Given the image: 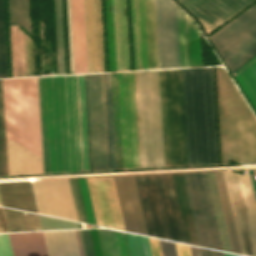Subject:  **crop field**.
<instances>
[{
  "label": "crop field",
  "mask_w": 256,
  "mask_h": 256,
  "mask_svg": "<svg viewBox=\"0 0 256 256\" xmlns=\"http://www.w3.org/2000/svg\"><path fill=\"white\" fill-rule=\"evenodd\" d=\"M76 86L82 171H91L84 75H76Z\"/></svg>",
  "instance_id": "a9b5d70f"
},
{
  "label": "crop field",
  "mask_w": 256,
  "mask_h": 256,
  "mask_svg": "<svg viewBox=\"0 0 256 256\" xmlns=\"http://www.w3.org/2000/svg\"><path fill=\"white\" fill-rule=\"evenodd\" d=\"M3 87L9 175L43 173L37 77Z\"/></svg>",
  "instance_id": "ac0d7876"
},
{
  "label": "crop field",
  "mask_w": 256,
  "mask_h": 256,
  "mask_svg": "<svg viewBox=\"0 0 256 256\" xmlns=\"http://www.w3.org/2000/svg\"><path fill=\"white\" fill-rule=\"evenodd\" d=\"M233 253L241 254L222 171L214 172Z\"/></svg>",
  "instance_id": "750c4746"
},
{
  "label": "crop field",
  "mask_w": 256,
  "mask_h": 256,
  "mask_svg": "<svg viewBox=\"0 0 256 256\" xmlns=\"http://www.w3.org/2000/svg\"><path fill=\"white\" fill-rule=\"evenodd\" d=\"M106 81H107V97H108V113H109L111 162H112V170H114V169H116V161H115V145H114V129H113V113H112L110 73H106Z\"/></svg>",
  "instance_id": "0bd39190"
},
{
  "label": "crop field",
  "mask_w": 256,
  "mask_h": 256,
  "mask_svg": "<svg viewBox=\"0 0 256 256\" xmlns=\"http://www.w3.org/2000/svg\"><path fill=\"white\" fill-rule=\"evenodd\" d=\"M141 168L164 167L158 70L135 72Z\"/></svg>",
  "instance_id": "dd49c442"
},
{
  "label": "crop field",
  "mask_w": 256,
  "mask_h": 256,
  "mask_svg": "<svg viewBox=\"0 0 256 256\" xmlns=\"http://www.w3.org/2000/svg\"><path fill=\"white\" fill-rule=\"evenodd\" d=\"M178 10L188 18L179 8ZM179 14V29H180V45H181V60L182 67L202 66V52H201V32L193 24L184 17L180 12Z\"/></svg>",
  "instance_id": "92a150f3"
},
{
  "label": "crop field",
  "mask_w": 256,
  "mask_h": 256,
  "mask_svg": "<svg viewBox=\"0 0 256 256\" xmlns=\"http://www.w3.org/2000/svg\"><path fill=\"white\" fill-rule=\"evenodd\" d=\"M78 180H79V184H80V189H81V194H82L83 203H84V207H85L87 221H88V223H91V224H93V222H94V224L96 225L95 219H94V215H93L92 206H91V202H90V197H89V193H88V188H87L86 180H85V178H83L84 184H85V188H86V192H87V197H88L89 205H90V210H91V214H92V218H93V222H92V218H91V214H90V210H89V205H88V201H87V197H86V192H85L83 180H82V178H78Z\"/></svg>",
  "instance_id": "03da06ac"
},
{
  "label": "crop field",
  "mask_w": 256,
  "mask_h": 256,
  "mask_svg": "<svg viewBox=\"0 0 256 256\" xmlns=\"http://www.w3.org/2000/svg\"><path fill=\"white\" fill-rule=\"evenodd\" d=\"M149 240H150L152 255L153 256H162L158 240L151 239V238H149Z\"/></svg>",
  "instance_id": "89e229c0"
},
{
  "label": "crop field",
  "mask_w": 256,
  "mask_h": 256,
  "mask_svg": "<svg viewBox=\"0 0 256 256\" xmlns=\"http://www.w3.org/2000/svg\"><path fill=\"white\" fill-rule=\"evenodd\" d=\"M0 232H8L3 210L1 207H0Z\"/></svg>",
  "instance_id": "1f2cbd36"
},
{
  "label": "crop field",
  "mask_w": 256,
  "mask_h": 256,
  "mask_svg": "<svg viewBox=\"0 0 256 256\" xmlns=\"http://www.w3.org/2000/svg\"><path fill=\"white\" fill-rule=\"evenodd\" d=\"M19 26H10L13 77L27 76L24 34Z\"/></svg>",
  "instance_id": "ae1a2a85"
},
{
  "label": "crop field",
  "mask_w": 256,
  "mask_h": 256,
  "mask_svg": "<svg viewBox=\"0 0 256 256\" xmlns=\"http://www.w3.org/2000/svg\"><path fill=\"white\" fill-rule=\"evenodd\" d=\"M183 175L200 246L223 251L205 172Z\"/></svg>",
  "instance_id": "d1516ede"
},
{
  "label": "crop field",
  "mask_w": 256,
  "mask_h": 256,
  "mask_svg": "<svg viewBox=\"0 0 256 256\" xmlns=\"http://www.w3.org/2000/svg\"><path fill=\"white\" fill-rule=\"evenodd\" d=\"M110 72L130 70L126 0H106Z\"/></svg>",
  "instance_id": "5142ce71"
},
{
  "label": "crop field",
  "mask_w": 256,
  "mask_h": 256,
  "mask_svg": "<svg viewBox=\"0 0 256 256\" xmlns=\"http://www.w3.org/2000/svg\"><path fill=\"white\" fill-rule=\"evenodd\" d=\"M2 77H7V69L3 20V3L2 0H0V78Z\"/></svg>",
  "instance_id": "c21b1889"
},
{
  "label": "crop field",
  "mask_w": 256,
  "mask_h": 256,
  "mask_svg": "<svg viewBox=\"0 0 256 256\" xmlns=\"http://www.w3.org/2000/svg\"><path fill=\"white\" fill-rule=\"evenodd\" d=\"M0 205H1V202H0Z\"/></svg>",
  "instance_id": "9d1cf04e"
},
{
  "label": "crop field",
  "mask_w": 256,
  "mask_h": 256,
  "mask_svg": "<svg viewBox=\"0 0 256 256\" xmlns=\"http://www.w3.org/2000/svg\"><path fill=\"white\" fill-rule=\"evenodd\" d=\"M134 178L148 235L188 244L172 174Z\"/></svg>",
  "instance_id": "f4fd0767"
},
{
  "label": "crop field",
  "mask_w": 256,
  "mask_h": 256,
  "mask_svg": "<svg viewBox=\"0 0 256 256\" xmlns=\"http://www.w3.org/2000/svg\"><path fill=\"white\" fill-rule=\"evenodd\" d=\"M200 250H201L202 256H224L223 253L221 252L211 251V250L202 249V248H200Z\"/></svg>",
  "instance_id": "dbb93151"
},
{
  "label": "crop field",
  "mask_w": 256,
  "mask_h": 256,
  "mask_svg": "<svg viewBox=\"0 0 256 256\" xmlns=\"http://www.w3.org/2000/svg\"><path fill=\"white\" fill-rule=\"evenodd\" d=\"M86 256H95L89 230H80Z\"/></svg>",
  "instance_id": "5d738f31"
},
{
  "label": "crop field",
  "mask_w": 256,
  "mask_h": 256,
  "mask_svg": "<svg viewBox=\"0 0 256 256\" xmlns=\"http://www.w3.org/2000/svg\"><path fill=\"white\" fill-rule=\"evenodd\" d=\"M159 69L181 67L177 6L155 0Z\"/></svg>",
  "instance_id": "cbeb9de0"
},
{
  "label": "crop field",
  "mask_w": 256,
  "mask_h": 256,
  "mask_svg": "<svg viewBox=\"0 0 256 256\" xmlns=\"http://www.w3.org/2000/svg\"><path fill=\"white\" fill-rule=\"evenodd\" d=\"M89 73L105 72L101 0H85Z\"/></svg>",
  "instance_id": "bc2a9ffb"
},
{
  "label": "crop field",
  "mask_w": 256,
  "mask_h": 256,
  "mask_svg": "<svg viewBox=\"0 0 256 256\" xmlns=\"http://www.w3.org/2000/svg\"><path fill=\"white\" fill-rule=\"evenodd\" d=\"M113 179L126 231L147 235L133 176Z\"/></svg>",
  "instance_id": "214f88e0"
},
{
  "label": "crop field",
  "mask_w": 256,
  "mask_h": 256,
  "mask_svg": "<svg viewBox=\"0 0 256 256\" xmlns=\"http://www.w3.org/2000/svg\"><path fill=\"white\" fill-rule=\"evenodd\" d=\"M187 165L218 164L212 67L182 69Z\"/></svg>",
  "instance_id": "34b2d1b8"
},
{
  "label": "crop field",
  "mask_w": 256,
  "mask_h": 256,
  "mask_svg": "<svg viewBox=\"0 0 256 256\" xmlns=\"http://www.w3.org/2000/svg\"><path fill=\"white\" fill-rule=\"evenodd\" d=\"M209 38L231 73L235 71L256 55V5Z\"/></svg>",
  "instance_id": "28ad6ade"
},
{
  "label": "crop field",
  "mask_w": 256,
  "mask_h": 256,
  "mask_svg": "<svg viewBox=\"0 0 256 256\" xmlns=\"http://www.w3.org/2000/svg\"><path fill=\"white\" fill-rule=\"evenodd\" d=\"M45 173L81 171L75 75L39 77Z\"/></svg>",
  "instance_id": "8a807250"
},
{
  "label": "crop field",
  "mask_w": 256,
  "mask_h": 256,
  "mask_svg": "<svg viewBox=\"0 0 256 256\" xmlns=\"http://www.w3.org/2000/svg\"><path fill=\"white\" fill-rule=\"evenodd\" d=\"M175 185L178 193V198L180 202V207L182 211V216L184 220V225L187 233L188 242L191 245H197L198 240L196 236V231L193 223V218L190 210V205L188 201V196L185 188V183L182 173L173 174Z\"/></svg>",
  "instance_id": "d3111659"
},
{
  "label": "crop field",
  "mask_w": 256,
  "mask_h": 256,
  "mask_svg": "<svg viewBox=\"0 0 256 256\" xmlns=\"http://www.w3.org/2000/svg\"><path fill=\"white\" fill-rule=\"evenodd\" d=\"M225 256H238V255H232V254H226L224 253Z\"/></svg>",
  "instance_id": "1d79db26"
},
{
  "label": "crop field",
  "mask_w": 256,
  "mask_h": 256,
  "mask_svg": "<svg viewBox=\"0 0 256 256\" xmlns=\"http://www.w3.org/2000/svg\"><path fill=\"white\" fill-rule=\"evenodd\" d=\"M78 221L86 222L84 207L77 178L68 179Z\"/></svg>",
  "instance_id": "b80d0937"
},
{
  "label": "crop field",
  "mask_w": 256,
  "mask_h": 256,
  "mask_svg": "<svg viewBox=\"0 0 256 256\" xmlns=\"http://www.w3.org/2000/svg\"><path fill=\"white\" fill-rule=\"evenodd\" d=\"M74 74L87 73L84 4L71 0Z\"/></svg>",
  "instance_id": "00972430"
},
{
  "label": "crop field",
  "mask_w": 256,
  "mask_h": 256,
  "mask_svg": "<svg viewBox=\"0 0 256 256\" xmlns=\"http://www.w3.org/2000/svg\"><path fill=\"white\" fill-rule=\"evenodd\" d=\"M216 75L221 163L256 161V119L225 69Z\"/></svg>",
  "instance_id": "412701ff"
},
{
  "label": "crop field",
  "mask_w": 256,
  "mask_h": 256,
  "mask_svg": "<svg viewBox=\"0 0 256 256\" xmlns=\"http://www.w3.org/2000/svg\"><path fill=\"white\" fill-rule=\"evenodd\" d=\"M94 245L95 255L103 256L97 229L90 230Z\"/></svg>",
  "instance_id": "25e5ab78"
},
{
  "label": "crop field",
  "mask_w": 256,
  "mask_h": 256,
  "mask_svg": "<svg viewBox=\"0 0 256 256\" xmlns=\"http://www.w3.org/2000/svg\"><path fill=\"white\" fill-rule=\"evenodd\" d=\"M85 81L92 171L111 170L105 73Z\"/></svg>",
  "instance_id": "5a996713"
},
{
  "label": "crop field",
  "mask_w": 256,
  "mask_h": 256,
  "mask_svg": "<svg viewBox=\"0 0 256 256\" xmlns=\"http://www.w3.org/2000/svg\"><path fill=\"white\" fill-rule=\"evenodd\" d=\"M117 169L140 168L134 72L111 73Z\"/></svg>",
  "instance_id": "e52e79f7"
},
{
  "label": "crop field",
  "mask_w": 256,
  "mask_h": 256,
  "mask_svg": "<svg viewBox=\"0 0 256 256\" xmlns=\"http://www.w3.org/2000/svg\"><path fill=\"white\" fill-rule=\"evenodd\" d=\"M206 174H207L208 183L211 191V196L213 200V205L215 209V214H216L217 223L220 231L223 249L226 252L232 253L227 230H226V225H225V221L222 213V208L219 200V195L216 187V182L214 178L215 173L213 174V172H206Z\"/></svg>",
  "instance_id": "120bbe31"
},
{
  "label": "crop field",
  "mask_w": 256,
  "mask_h": 256,
  "mask_svg": "<svg viewBox=\"0 0 256 256\" xmlns=\"http://www.w3.org/2000/svg\"><path fill=\"white\" fill-rule=\"evenodd\" d=\"M57 34L58 74H65L62 0H54Z\"/></svg>",
  "instance_id": "d32e631a"
},
{
  "label": "crop field",
  "mask_w": 256,
  "mask_h": 256,
  "mask_svg": "<svg viewBox=\"0 0 256 256\" xmlns=\"http://www.w3.org/2000/svg\"><path fill=\"white\" fill-rule=\"evenodd\" d=\"M11 24H20L30 33L28 0H9Z\"/></svg>",
  "instance_id": "5866460e"
},
{
  "label": "crop field",
  "mask_w": 256,
  "mask_h": 256,
  "mask_svg": "<svg viewBox=\"0 0 256 256\" xmlns=\"http://www.w3.org/2000/svg\"><path fill=\"white\" fill-rule=\"evenodd\" d=\"M126 235L132 256H152L148 238L128 233Z\"/></svg>",
  "instance_id": "e1f06a70"
},
{
  "label": "crop field",
  "mask_w": 256,
  "mask_h": 256,
  "mask_svg": "<svg viewBox=\"0 0 256 256\" xmlns=\"http://www.w3.org/2000/svg\"><path fill=\"white\" fill-rule=\"evenodd\" d=\"M201 24L206 34L253 0H176ZM252 3V2H251Z\"/></svg>",
  "instance_id": "4a817a6b"
},
{
  "label": "crop field",
  "mask_w": 256,
  "mask_h": 256,
  "mask_svg": "<svg viewBox=\"0 0 256 256\" xmlns=\"http://www.w3.org/2000/svg\"><path fill=\"white\" fill-rule=\"evenodd\" d=\"M14 256H48L42 232L9 234Z\"/></svg>",
  "instance_id": "730fd06b"
},
{
  "label": "crop field",
  "mask_w": 256,
  "mask_h": 256,
  "mask_svg": "<svg viewBox=\"0 0 256 256\" xmlns=\"http://www.w3.org/2000/svg\"><path fill=\"white\" fill-rule=\"evenodd\" d=\"M40 216L41 224L43 230H52V229H70V228H79L78 223L46 217V216Z\"/></svg>",
  "instance_id": "c035e120"
},
{
  "label": "crop field",
  "mask_w": 256,
  "mask_h": 256,
  "mask_svg": "<svg viewBox=\"0 0 256 256\" xmlns=\"http://www.w3.org/2000/svg\"><path fill=\"white\" fill-rule=\"evenodd\" d=\"M0 196L5 207L38 213L31 182H0Z\"/></svg>",
  "instance_id": "dafd665d"
},
{
  "label": "crop field",
  "mask_w": 256,
  "mask_h": 256,
  "mask_svg": "<svg viewBox=\"0 0 256 256\" xmlns=\"http://www.w3.org/2000/svg\"><path fill=\"white\" fill-rule=\"evenodd\" d=\"M233 74L256 109V57Z\"/></svg>",
  "instance_id": "1d83c4d3"
},
{
  "label": "crop field",
  "mask_w": 256,
  "mask_h": 256,
  "mask_svg": "<svg viewBox=\"0 0 256 256\" xmlns=\"http://www.w3.org/2000/svg\"><path fill=\"white\" fill-rule=\"evenodd\" d=\"M25 41H26L28 76H34L33 59H32V41L31 40L29 41L26 36H25Z\"/></svg>",
  "instance_id": "d23c7cc5"
},
{
  "label": "crop field",
  "mask_w": 256,
  "mask_h": 256,
  "mask_svg": "<svg viewBox=\"0 0 256 256\" xmlns=\"http://www.w3.org/2000/svg\"><path fill=\"white\" fill-rule=\"evenodd\" d=\"M86 180L97 225L125 231L112 177Z\"/></svg>",
  "instance_id": "d9b57169"
},
{
  "label": "crop field",
  "mask_w": 256,
  "mask_h": 256,
  "mask_svg": "<svg viewBox=\"0 0 256 256\" xmlns=\"http://www.w3.org/2000/svg\"><path fill=\"white\" fill-rule=\"evenodd\" d=\"M159 242L163 256H177L174 243L161 240Z\"/></svg>",
  "instance_id": "425ffa30"
},
{
  "label": "crop field",
  "mask_w": 256,
  "mask_h": 256,
  "mask_svg": "<svg viewBox=\"0 0 256 256\" xmlns=\"http://www.w3.org/2000/svg\"><path fill=\"white\" fill-rule=\"evenodd\" d=\"M135 70L158 69L154 0H130Z\"/></svg>",
  "instance_id": "22f410ed"
},
{
  "label": "crop field",
  "mask_w": 256,
  "mask_h": 256,
  "mask_svg": "<svg viewBox=\"0 0 256 256\" xmlns=\"http://www.w3.org/2000/svg\"><path fill=\"white\" fill-rule=\"evenodd\" d=\"M104 256H131L123 232L98 229Z\"/></svg>",
  "instance_id": "eef30255"
},
{
  "label": "crop field",
  "mask_w": 256,
  "mask_h": 256,
  "mask_svg": "<svg viewBox=\"0 0 256 256\" xmlns=\"http://www.w3.org/2000/svg\"><path fill=\"white\" fill-rule=\"evenodd\" d=\"M190 248H191L192 256H201L199 248L192 247V246H190Z\"/></svg>",
  "instance_id": "0fb4a251"
},
{
  "label": "crop field",
  "mask_w": 256,
  "mask_h": 256,
  "mask_svg": "<svg viewBox=\"0 0 256 256\" xmlns=\"http://www.w3.org/2000/svg\"><path fill=\"white\" fill-rule=\"evenodd\" d=\"M49 256H80L74 230L43 232Z\"/></svg>",
  "instance_id": "4177f3b9"
},
{
  "label": "crop field",
  "mask_w": 256,
  "mask_h": 256,
  "mask_svg": "<svg viewBox=\"0 0 256 256\" xmlns=\"http://www.w3.org/2000/svg\"><path fill=\"white\" fill-rule=\"evenodd\" d=\"M175 245H176L178 256H191L189 246L177 244V243H175Z\"/></svg>",
  "instance_id": "73cf0c24"
},
{
  "label": "crop field",
  "mask_w": 256,
  "mask_h": 256,
  "mask_svg": "<svg viewBox=\"0 0 256 256\" xmlns=\"http://www.w3.org/2000/svg\"><path fill=\"white\" fill-rule=\"evenodd\" d=\"M241 252L256 256V199L249 170L223 171Z\"/></svg>",
  "instance_id": "3316defc"
},
{
  "label": "crop field",
  "mask_w": 256,
  "mask_h": 256,
  "mask_svg": "<svg viewBox=\"0 0 256 256\" xmlns=\"http://www.w3.org/2000/svg\"><path fill=\"white\" fill-rule=\"evenodd\" d=\"M3 210L9 232L42 230L38 215L5 208Z\"/></svg>",
  "instance_id": "bd1437ed"
},
{
  "label": "crop field",
  "mask_w": 256,
  "mask_h": 256,
  "mask_svg": "<svg viewBox=\"0 0 256 256\" xmlns=\"http://www.w3.org/2000/svg\"><path fill=\"white\" fill-rule=\"evenodd\" d=\"M0 256H13L8 234H0Z\"/></svg>",
  "instance_id": "b54c1fbb"
},
{
  "label": "crop field",
  "mask_w": 256,
  "mask_h": 256,
  "mask_svg": "<svg viewBox=\"0 0 256 256\" xmlns=\"http://www.w3.org/2000/svg\"><path fill=\"white\" fill-rule=\"evenodd\" d=\"M165 167L186 165L181 69L159 70Z\"/></svg>",
  "instance_id": "d8731c3e"
},
{
  "label": "crop field",
  "mask_w": 256,
  "mask_h": 256,
  "mask_svg": "<svg viewBox=\"0 0 256 256\" xmlns=\"http://www.w3.org/2000/svg\"><path fill=\"white\" fill-rule=\"evenodd\" d=\"M32 183L40 213L77 221L67 179Z\"/></svg>",
  "instance_id": "733c2abd"
},
{
  "label": "crop field",
  "mask_w": 256,
  "mask_h": 256,
  "mask_svg": "<svg viewBox=\"0 0 256 256\" xmlns=\"http://www.w3.org/2000/svg\"><path fill=\"white\" fill-rule=\"evenodd\" d=\"M4 175H8V167H7L3 87H2V79H0V176H4Z\"/></svg>",
  "instance_id": "028f5c9d"
}]
</instances>
